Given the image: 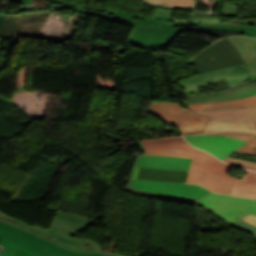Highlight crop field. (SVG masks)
<instances>
[{
  "label": "crop field",
  "mask_w": 256,
  "mask_h": 256,
  "mask_svg": "<svg viewBox=\"0 0 256 256\" xmlns=\"http://www.w3.org/2000/svg\"><path fill=\"white\" fill-rule=\"evenodd\" d=\"M226 77L231 89L200 94L198 88L208 86ZM248 69L245 63L202 73L182 79L177 82L186 103L222 101L245 98L256 94V83H248Z\"/></svg>",
  "instance_id": "8a807250"
},
{
  "label": "crop field",
  "mask_w": 256,
  "mask_h": 256,
  "mask_svg": "<svg viewBox=\"0 0 256 256\" xmlns=\"http://www.w3.org/2000/svg\"><path fill=\"white\" fill-rule=\"evenodd\" d=\"M16 2L26 4L28 6L35 5L36 2L34 0H14ZM55 2L65 4L61 8H68L72 11L76 12H84V13H92L100 15L106 19L111 21L134 26V24H143V25H153L160 27H178V26H199L206 28H215V29H223V30H231L239 33H243L246 36L256 37V27L245 26L242 24L233 23L229 20L221 21L220 24H180L176 22H170L171 16L174 10L171 9H162L157 8L152 17L147 18L138 14L130 13L129 11L117 9L116 11L111 10L109 16L105 14H101L99 12L90 11V10H81L82 4H73L66 2H59L53 0Z\"/></svg>",
  "instance_id": "ac0d7876"
},
{
  "label": "crop field",
  "mask_w": 256,
  "mask_h": 256,
  "mask_svg": "<svg viewBox=\"0 0 256 256\" xmlns=\"http://www.w3.org/2000/svg\"><path fill=\"white\" fill-rule=\"evenodd\" d=\"M231 167L210 154L197 150L187 182L202 185L212 191L231 194L235 178L226 175Z\"/></svg>",
  "instance_id": "34b2d1b8"
},
{
  "label": "crop field",
  "mask_w": 256,
  "mask_h": 256,
  "mask_svg": "<svg viewBox=\"0 0 256 256\" xmlns=\"http://www.w3.org/2000/svg\"><path fill=\"white\" fill-rule=\"evenodd\" d=\"M196 204L230 225L248 213L256 215V200L254 199L211 192Z\"/></svg>",
  "instance_id": "412701ff"
},
{
  "label": "crop field",
  "mask_w": 256,
  "mask_h": 256,
  "mask_svg": "<svg viewBox=\"0 0 256 256\" xmlns=\"http://www.w3.org/2000/svg\"><path fill=\"white\" fill-rule=\"evenodd\" d=\"M0 236L45 256H104L93 252H74L61 248L51 241L3 221H0Z\"/></svg>",
  "instance_id": "f4fd0767"
},
{
  "label": "crop field",
  "mask_w": 256,
  "mask_h": 256,
  "mask_svg": "<svg viewBox=\"0 0 256 256\" xmlns=\"http://www.w3.org/2000/svg\"><path fill=\"white\" fill-rule=\"evenodd\" d=\"M147 111L177 125L182 134L202 132L208 121V118L180 107L179 103L151 102Z\"/></svg>",
  "instance_id": "dd49c442"
},
{
  "label": "crop field",
  "mask_w": 256,
  "mask_h": 256,
  "mask_svg": "<svg viewBox=\"0 0 256 256\" xmlns=\"http://www.w3.org/2000/svg\"><path fill=\"white\" fill-rule=\"evenodd\" d=\"M190 62L193 63L197 73H201L242 63L243 59L237 49L226 38H223L196 54Z\"/></svg>",
  "instance_id": "e52e79f7"
},
{
  "label": "crop field",
  "mask_w": 256,
  "mask_h": 256,
  "mask_svg": "<svg viewBox=\"0 0 256 256\" xmlns=\"http://www.w3.org/2000/svg\"><path fill=\"white\" fill-rule=\"evenodd\" d=\"M93 222L94 220L57 211L51 227L46 232L64 244L80 248L85 239L71 235L82 231Z\"/></svg>",
  "instance_id": "d8731c3e"
},
{
  "label": "crop field",
  "mask_w": 256,
  "mask_h": 256,
  "mask_svg": "<svg viewBox=\"0 0 256 256\" xmlns=\"http://www.w3.org/2000/svg\"><path fill=\"white\" fill-rule=\"evenodd\" d=\"M182 30H197V27L159 28L135 25L129 43L139 47L163 49Z\"/></svg>",
  "instance_id": "5a996713"
},
{
  "label": "crop field",
  "mask_w": 256,
  "mask_h": 256,
  "mask_svg": "<svg viewBox=\"0 0 256 256\" xmlns=\"http://www.w3.org/2000/svg\"><path fill=\"white\" fill-rule=\"evenodd\" d=\"M204 135H223L232 138L248 141L256 133L252 120H230V119H211L206 126ZM190 134V135H198ZM187 136V135H184Z\"/></svg>",
  "instance_id": "3316defc"
},
{
  "label": "crop field",
  "mask_w": 256,
  "mask_h": 256,
  "mask_svg": "<svg viewBox=\"0 0 256 256\" xmlns=\"http://www.w3.org/2000/svg\"><path fill=\"white\" fill-rule=\"evenodd\" d=\"M130 186L142 191L193 198H200L209 192L199 185L165 183L157 181L132 180Z\"/></svg>",
  "instance_id": "28ad6ade"
},
{
  "label": "crop field",
  "mask_w": 256,
  "mask_h": 256,
  "mask_svg": "<svg viewBox=\"0 0 256 256\" xmlns=\"http://www.w3.org/2000/svg\"><path fill=\"white\" fill-rule=\"evenodd\" d=\"M192 145L204 149L220 159H225L236 149L242 146L245 141L236 140L223 136H187L185 137ZM215 156V157H216Z\"/></svg>",
  "instance_id": "d1516ede"
},
{
  "label": "crop field",
  "mask_w": 256,
  "mask_h": 256,
  "mask_svg": "<svg viewBox=\"0 0 256 256\" xmlns=\"http://www.w3.org/2000/svg\"><path fill=\"white\" fill-rule=\"evenodd\" d=\"M0 219L3 220V221H6L12 225H15L17 227H20L22 229H25V230H28V231H31L37 235H40L46 239H49L55 243H57L59 246H62V247H66V248H69L71 250H74V251H93V252H97V253H101V254H104V255H107V256H120V255H116V254H112V253H108L106 251H103L104 250V247H101L100 244H98L96 241L94 240H90V239H87L85 240V242L83 243V245L81 246L80 249L78 248H74V247H71V246H68V245H64L62 243H60L59 241H57L56 239H54L53 237H51L49 234H47L45 231V229L43 228H38V227H34V226H30L22 221H19L17 219H12V217H10L9 215L3 213L0 211Z\"/></svg>",
  "instance_id": "22f410ed"
},
{
  "label": "crop field",
  "mask_w": 256,
  "mask_h": 256,
  "mask_svg": "<svg viewBox=\"0 0 256 256\" xmlns=\"http://www.w3.org/2000/svg\"><path fill=\"white\" fill-rule=\"evenodd\" d=\"M227 39L241 53L245 63L250 69V76L256 75V38L244 36H230Z\"/></svg>",
  "instance_id": "cbeb9de0"
},
{
  "label": "crop field",
  "mask_w": 256,
  "mask_h": 256,
  "mask_svg": "<svg viewBox=\"0 0 256 256\" xmlns=\"http://www.w3.org/2000/svg\"><path fill=\"white\" fill-rule=\"evenodd\" d=\"M192 159L140 155L136 166L188 170Z\"/></svg>",
  "instance_id": "5142ce71"
},
{
  "label": "crop field",
  "mask_w": 256,
  "mask_h": 256,
  "mask_svg": "<svg viewBox=\"0 0 256 256\" xmlns=\"http://www.w3.org/2000/svg\"><path fill=\"white\" fill-rule=\"evenodd\" d=\"M187 172L188 171H183V170L140 167L136 178L185 182Z\"/></svg>",
  "instance_id": "d9b57169"
},
{
  "label": "crop field",
  "mask_w": 256,
  "mask_h": 256,
  "mask_svg": "<svg viewBox=\"0 0 256 256\" xmlns=\"http://www.w3.org/2000/svg\"><path fill=\"white\" fill-rule=\"evenodd\" d=\"M185 106L189 107L191 110L194 111L256 107V95L245 99H236L222 102L194 103L186 104Z\"/></svg>",
  "instance_id": "733c2abd"
},
{
  "label": "crop field",
  "mask_w": 256,
  "mask_h": 256,
  "mask_svg": "<svg viewBox=\"0 0 256 256\" xmlns=\"http://www.w3.org/2000/svg\"><path fill=\"white\" fill-rule=\"evenodd\" d=\"M146 152L162 150L177 146H191L181 135L139 140Z\"/></svg>",
  "instance_id": "4a817a6b"
},
{
  "label": "crop field",
  "mask_w": 256,
  "mask_h": 256,
  "mask_svg": "<svg viewBox=\"0 0 256 256\" xmlns=\"http://www.w3.org/2000/svg\"><path fill=\"white\" fill-rule=\"evenodd\" d=\"M210 118L249 119L256 118V108H242L229 110L201 111Z\"/></svg>",
  "instance_id": "bc2a9ffb"
},
{
  "label": "crop field",
  "mask_w": 256,
  "mask_h": 256,
  "mask_svg": "<svg viewBox=\"0 0 256 256\" xmlns=\"http://www.w3.org/2000/svg\"><path fill=\"white\" fill-rule=\"evenodd\" d=\"M246 171L248 173L243 180L236 179L232 194L242 197L256 198V173L248 170Z\"/></svg>",
  "instance_id": "214f88e0"
},
{
  "label": "crop field",
  "mask_w": 256,
  "mask_h": 256,
  "mask_svg": "<svg viewBox=\"0 0 256 256\" xmlns=\"http://www.w3.org/2000/svg\"><path fill=\"white\" fill-rule=\"evenodd\" d=\"M0 256H42L24 247L0 238Z\"/></svg>",
  "instance_id": "92a150f3"
},
{
  "label": "crop field",
  "mask_w": 256,
  "mask_h": 256,
  "mask_svg": "<svg viewBox=\"0 0 256 256\" xmlns=\"http://www.w3.org/2000/svg\"><path fill=\"white\" fill-rule=\"evenodd\" d=\"M130 181H131V179L127 180V184H126V188H125V191L128 193L144 195V196H149V197H153V198H161V199H168V200H175V201H185V202H191V203H196L197 201H199L201 199V198L200 199L182 198V197H176V196H170V195L141 192V191H138L136 189L129 187Z\"/></svg>",
  "instance_id": "dafd665d"
},
{
  "label": "crop field",
  "mask_w": 256,
  "mask_h": 256,
  "mask_svg": "<svg viewBox=\"0 0 256 256\" xmlns=\"http://www.w3.org/2000/svg\"><path fill=\"white\" fill-rule=\"evenodd\" d=\"M195 150L196 149L194 148H172V149H166L162 151L149 153L147 155H166V156L192 158L195 153Z\"/></svg>",
  "instance_id": "00972430"
},
{
  "label": "crop field",
  "mask_w": 256,
  "mask_h": 256,
  "mask_svg": "<svg viewBox=\"0 0 256 256\" xmlns=\"http://www.w3.org/2000/svg\"><path fill=\"white\" fill-rule=\"evenodd\" d=\"M162 6L179 7L185 9H194L196 0H147Z\"/></svg>",
  "instance_id": "a9b5d70f"
},
{
  "label": "crop field",
  "mask_w": 256,
  "mask_h": 256,
  "mask_svg": "<svg viewBox=\"0 0 256 256\" xmlns=\"http://www.w3.org/2000/svg\"><path fill=\"white\" fill-rule=\"evenodd\" d=\"M221 20H225V18H195L191 20L172 18V21L180 23H219Z\"/></svg>",
  "instance_id": "4177f3b9"
},
{
  "label": "crop field",
  "mask_w": 256,
  "mask_h": 256,
  "mask_svg": "<svg viewBox=\"0 0 256 256\" xmlns=\"http://www.w3.org/2000/svg\"><path fill=\"white\" fill-rule=\"evenodd\" d=\"M235 153L256 155V136Z\"/></svg>",
  "instance_id": "730fd06b"
},
{
  "label": "crop field",
  "mask_w": 256,
  "mask_h": 256,
  "mask_svg": "<svg viewBox=\"0 0 256 256\" xmlns=\"http://www.w3.org/2000/svg\"><path fill=\"white\" fill-rule=\"evenodd\" d=\"M220 13H223L226 15H237L238 7H235V6L227 4V3H223Z\"/></svg>",
  "instance_id": "eef30255"
},
{
  "label": "crop field",
  "mask_w": 256,
  "mask_h": 256,
  "mask_svg": "<svg viewBox=\"0 0 256 256\" xmlns=\"http://www.w3.org/2000/svg\"><path fill=\"white\" fill-rule=\"evenodd\" d=\"M233 154L230 157H235V158H240V159L256 162V156H248V155H240V154H236L235 156H233Z\"/></svg>",
  "instance_id": "ae1a2a85"
},
{
  "label": "crop field",
  "mask_w": 256,
  "mask_h": 256,
  "mask_svg": "<svg viewBox=\"0 0 256 256\" xmlns=\"http://www.w3.org/2000/svg\"><path fill=\"white\" fill-rule=\"evenodd\" d=\"M234 227H236V228H238V229H241V230H243V231H245V232L251 233V234H253V235L255 236V238H256V231H255V230H252V229H250V228H248V227H245V226H243V225H241V224H239V223H237L236 225H234Z\"/></svg>",
  "instance_id": "d3111659"
},
{
  "label": "crop field",
  "mask_w": 256,
  "mask_h": 256,
  "mask_svg": "<svg viewBox=\"0 0 256 256\" xmlns=\"http://www.w3.org/2000/svg\"><path fill=\"white\" fill-rule=\"evenodd\" d=\"M224 161L227 162V163H229V164H232V165H236V166H239V167H243V168H246V169H250V170L256 171V168H255V167H251V166L239 164V163H236V162H233V161H229V160H224Z\"/></svg>",
  "instance_id": "750c4746"
},
{
  "label": "crop field",
  "mask_w": 256,
  "mask_h": 256,
  "mask_svg": "<svg viewBox=\"0 0 256 256\" xmlns=\"http://www.w3.org/2000/svg\"><path fill=\"white\" fill-rule=\"evenodd\" d=\"M242 220L256 226V216L248 215L247 217L243 218Z\"/></svg>",
  "instance_id": "bd1437ed"
},
{
  "label": "crop field",
  "mask_w": 256,
  "mask_h": 256,
  "mask_svg": "<svg viewBox=\"0 0 256 256\" xmlns=\"http://www.w3.org/2000/svg\"><path fill=\"white\" fill-rule=\"evenodd\" d=\"M227 159H229V160H233V161H236V162H239V163H243V164H247V165L255 166V167H256V163H253V162L244 161V160H239V159L230 158V157H228Z\"/></svg>",
  "instance_id": "1d83c4d3"
},
{
  "label": "crop field",
  "mask_w": 256,
  "mask_h": 256,
  "mask_svg": "<svg viewBox=\"0 0 256 256\" xmlns=\"http://www.w3.org/2000/svg\"><path fill=\"white\" fill-rule=\"evenodd\" d=\"M239 223H241V224H243V225H245V226H248V227L253 228V229L256 230V227H255V226L250 225V224H248V223H246V222H244V221H242V220H240Z\"/></svg>",
  "instance_id": "120bbe31"
},
{
  "label": "crop field",
  "mask_w": 256,
  "mask_h": 256,
  "mask_svg": "<svg viewBox=\"0 0 256 256\" xmlns=\"http://www.w3.org/2000/svg\"><path fill=\"white\" fill-rule=\"evenodd\" d=\"M138 169H139V167H135V168H134V171H133V174H132V177H131V178H135V177H136V174H137V172H138Z\"/></svg>",
  "instance_id": "d32e631a"
},
{
  "label": "crop field",
  "mask_w": 256,
  "mask_h": 256,
  "mask_svg": "<svg viewBox=\"0 0 256 256\" xmlns=\"http://www.w3.org/2000/svg\"><path fill=\"white\" fill-rule=\"evenodd\" d=\"M138 157H139V156H137V158H136V160H135V162H134V164H133V168H134V166L136 165V162H137V160H138ZM133 168H132V171H133ZM132 171H131V173H130L129 178L131 177Z\"/></svg>",
  "instance_id": "5866460e"
},
{
  "label": "crop field",
  "mask_w": 256,
  "mask_h": 256,
  "mask_svg": "<svg viewBox=\"0 0 256 256\" xmlns=\"http://www.w3.org/2000/svg\"><path fill=\"white\" fill-rule=\"evenodd\" d=\"M136 141H137V143H138V145H139V147H140L142 153H145L144 150H143V148H142V146H141L140 143L138 142V140H136Z\"/></svg>",
  "instance_id": "028f5c9d"
},
{
  "label": "crop field",
  "mask_w": 256,
  "mask_h": 256,
  "mask_svg": "<svg viewBox=\"0 0 256 256\" xmlns=\"http://www.w3.org/2000/svg\"><path fill=\"white\" fill-rule=\"evenodd\" d=\"M252 120H253L254 127H255V130H256V119H252Z\"/></svg>",
  "instance_id": "e1f06a70"
},
{
  "label": "crop field",
  "mask_w": 256,
  "mask_h": 256,
  "mask_svg": "<svg viewBox=\"0 0 256 256\" xmlns=\"http://www.w3.org/2000/svg\"><path fill=\"white\" fill-rule=\"evenodd\" d=\"M252 81H256V76L251 77Z\"/></svg>",
  "instance_id": "0bd39190"
},
{
  "label": "crop field",
  "mask_w": 256,
  "mask_h": 256,
  "mask_svg": "<svg viewBox=\"0 0 256 256\" xmlns=\"http://www.w3.org/2000/svg\"><path fill=\"white\" fill-rule=\"evenodd\" d=\"M210 121V120H209Z\"/></svg>",
  "instance_id": "b80d0937"
}]
</instances>
